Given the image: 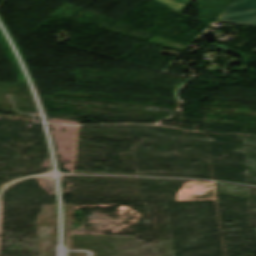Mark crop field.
Here are the masks:
<instances>
[{
    "instance_id": "8a807250",
    "label": "crop field",
    "mask_w": 256,
    "mask_h": 256,
    "mask_svg": "<svg viewBox=\"0 0 256 256\" xmlns=\"http://www.w3.org/2000/svg\"><path fill=\"white\" fill-rule=\"evenodd\" d=\"M216 20L256 25V0H235Z\"/></svg>"
},
{
    "instance_id": "ac0d7876",
    "label": "crop field",
    "mask_w": 256,
    "mask_h": 256,
    "mask_svg": "<svg viewBox=\"0 0 256 256\" xmlns=\"http://www.w3.org/2000/svg\"><path fill=\"white\" fill-rule=\"evenodd\" d=\"M182 13L190 4L187 0H153Z\"/></svg>"
}]
</instances>
